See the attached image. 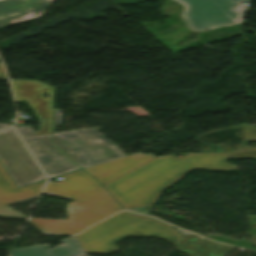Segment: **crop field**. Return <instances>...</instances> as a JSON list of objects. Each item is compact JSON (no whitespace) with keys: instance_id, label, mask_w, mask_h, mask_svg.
Here are the masks:
<instances>
[{"instance_id":"crop-field-1","label":"crop field","mask_w":256,"mask_h":256,"mask_svg":"<svg viewBox=\"0 0 256 256\" xmlns=\"http://www.w3.org/2000/svg\"><path fill=\"white\" fill-rule=\"evenodd\" d=\"M256 159L255 147H241L229 154H187L155 158L103 185L125 208L151 207L161 193L194 169H237L227 159Z\"/></svg>"},{"instance_id":"crop-field-2","label":"crop field","mask_w":256,"mask_h":256,"mask_svg":"<svg viewBox=\"0 0 256 256\" xmlns=\"http://www.w3.org/2000/svg\"><path fill=\"white\" fill-rule=\"evenodd\" d=\"M127 237H161L177 245L182 236L172 227L121 212L77 236L86 253L117 251L115 244Z\"/></svg>"},{"instance_id":"crop-field-3","label":"crop field","mask_w":256,"mask_h":256,"mask_svg":"<svg viewBox=\"0 0 256 256\" xmlns=\"http://www.w3.org/2000/svg\"><path fill=\"white\" fill-rule=\"evenodd\" d=\"M120 210L122 208L101 186L66 204L68 220L30 218L28 223L44 234H76Z\"/></svg>"},{"instance_id":"crop-field-4","label":"crop field","mask_w":256,"mask_h":256,"mask_svg":"<svg viewBox=\"0 0 256 256\" xmlns=\"http://www.w3.org/2000/svg\"><path fill=\"white\" fill-rule=\"evenodd\" d=\"M53 142L83 169L126 156L95 128L53 134Z\"/></svg>"},{"instance_id":"crop-field-5","label":"crop field","mask_w":256,"mask_h":256,"mask_svg":"<svg viewBox=\"0 0 256 256\" xmlns=\"http://www.w3.org/2000/svg\"><path fill=\"white\" fill-rule=\"evenodd\" d=\"M0 161L18 187L45 179L14 129L0 133Z\"/></svg>"},{"instance_id":"crop-field-6","label":"crop field","mask_w":256,"mask_h":256,"mask_svg":"<svg viewBox=\"0 0 256 256\" xmlns=\"http://www.w3.org/2000/svg\"><path fill=\"white\" fill-rule=\"evenodd\" d=\"M185 6L183 15L194 31H203L221 25L235 24L239 13L235 7L251 0H176Z\"/></svg>"},{"instance_id":"crop-field-7","label":"crop field","mask_w":256,"mask_h":256,"mask_svg":"<svg viewBox=\"0 0 256 256\" xmlns=\"http://www.w3.org/2000/svg\"><path fill=\"white\" fill-rule=\"evenodd\" d=\"M16 128L48 178L79 169L50 142L51 134L37 136L31 126Z\"/></svg>"},{"instance_id":"crop-field-8","label":"crop field","mask_w":256,"mask_h":256,"mask_svg":"<svg viewBox=\"0 0 256 256\" xmlns=\"http://www.w3.org/2000/svg\"><path fill=\"white\" fill-rule=\"evenodd\" d=\"M15 94V100L26 99L34 110L40 123L37 135L51 133L53 87L40 81L11 80ZM49 93V98L42 97L43 93Z\"/></svg>"},{"instance_id":"crop-field-9","label":"crop field","mask_w":256,"mask_h":256,"mask_svg":"<svg viewBox=\"0 0 256 256\" xmlns=\"http://www.w3.org/2000/svg\"><path fill=\"white\" fill-rule=\"evenodd\" d=\"M54 0L0 1V28L38 19Z\"/></svg>"},{"instance_id":"crop-field-10","label":"crop field","mask_w":256,"mask_h":256,"mask_svg":"<svg viewBox=\"0 0 256 256\" xmlns=\"http://www.w3.org/2000/svg\"><path fill=\"white\" fill-rule=\"evenodd\" d=\"M62 178L60 183L49 181L43 194L73 200L101 186L83 171L62 176Z\"/></svg>"},{"instance_id":"crop-field-11","label":"crop field","mask_w":256,"mask_h":256,"mask_svg":"<svg viewBox=\"0 0 256 256\" xmlns=\"http://www.w3.org/2000/svg\"><path fill=\"white\" fill-rule=\"evenodd\" d=\"M153 158L155 157L152 153L147 155L135 153L84 170L94 176L103 185Z\"/></svg>"},{"instance_id":"crop-field-12","label":"crop field","mask_w":256,"mask_h":256,"mask_svg":"<svg viewBox=\"0 0 256 256\" xmlns=\"http://www.w3.org/2000/svg\"><path fill=\"white\" fill-rule=\"evenodd\" d=\"M45 181L17 189L0 164V207L38 197Z\"/></svg>"},{"instance_id":"crop-field-13","label":"crop field","mask_w":256,"mask_h":256,"mask_svg":"<svg viewBox=\"0 0 256 256\" xmlns=\"http://www.w3.org/2000/svg\"><path fill=\"white\" fill-rule=\"evenodd\" d=\"M61 246L49 249V245H34L8 251L9 256H82L85 253L76 236L61 240Z\"/></svg>"},{"instance_id":"crop-field-14","label":"crop field","mask_w":256,"mask_h":256,"mask_svg":"<svg viewBox=\"0 0 256 256\" xmlns=\"http://www.w3.org/2000/svg\"><path fill=\"white\" fill-rule=\"evenodd\" d=\"M177 249L188 253L189 256H224L230 250V247L210 243L190 235L184 237Z\"/></svg>"},{"instance_id":"crop-field-15","label":"crop field","mask_w":256,"mask_h":256,"mask_svg":"<svg viewBox=\"0 0 256 256\" xmlns=\"http://www.w3.org/2000/svg\"><path fill=\"white\" fill-rule=\"evenodd\" d=\"M0 216L27 219V218L23 217L22 215L16 213L15 211L11 210L9 208V206L0 208Z\"/></svg>"},{"instance_id":"crop-field-16","label":"crop field","mask_w":256,"mask_h":256,"mask_svg":"<svg viewBox=\"0 0 256 256\" xmlns=\"http://www.w3.org/2000/svg\"><path fill=\"white\" fill-rule=\"evenodd\" d=\"M245 130L246 140H256V128L250 125H243Z\"/></svg>"},{"instance_id":"crop-field-17","label":"crop field","mask_w":256,"mask_h":256,"mask_svg":"<svg viewBox=\"0 0 256 256\" xmlns=\"http://www.w3.org/2000/svg\"><path fill=\"white\" fill-rule=\"evenodd\" d=\"M53 126H61V110H54Z\"/></svg>"},{"instance_id":"crop-field-18","label":"crop field","mask_w":256,"mask_h":256,"mask_svg":"<svg viewBox=\"0 0 256 256\" xmlns=\"http://www.w3.org/2000/svg\"><path fill=\"white\" fill-rule=\"evenodd\" d=\"M246 7H247L246 5H240L236 8V11H238L240 13L239 16L237 17V19L234 20L236 23L241 22V19L243 17V14H244V11H245Z\"/></svg>"},{"instance_id":"crop-field-19","label":"crop field","mask_w":256,"mask_h":256,"mask_svg":"<svg viewBox=\"0 0 256 256\" xmlns=\"http://www.w3.org/2000/svg\"><path fill=\"white\" fill-rule=\"evenodd\" d=\"M0 78L4 79V80H7L6 75L4 73V70H3L2 66H1V64H0Z\"/></svg>"},{"instance_id":"crop-field-20","label":"crop field","mask_w":256,"mask_h":256,"mask_svg":"<svg viewBox=\"0 0 256 256\" xmlns=\"http://www.w3.org/2000/svg\"><path fill=\"white\" fill-rule=\"evenodd\" d=\"M11 126L10 124H0V130Z\"/></svg>"},{"instance_id":"crop-field-21","label":"crop field","mask_w":256,"mask_h":256,"mask_svg":"<svg viewBox=\"0 0 256 256\" xmlns=\"http://www.w3.org/2000/svg\"><path fill=\"white\" fill-rule=\"evenodd\" d=\"M184 17V16H183ZM184 19H185V21H186V23H187V25H188V23H189V21L184 17ZM192 30V29H191ZM193 31V30H192Z\"/></svg>"}]
</instances>
